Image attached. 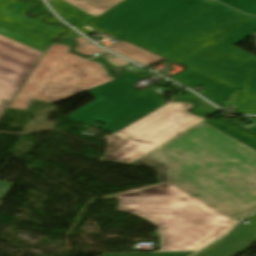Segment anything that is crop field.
Masks as SVG:
<instances>
[{
  "instance_id": "22f410ed",
  "label": "crop field",
  "mask_w": 256,
  "mask_h": 256,
  "mask_svg": "<svg viewBox=\"0 0 256 256\" xmlns=\"http://www.w3.org/2000/svg\"><path fill=\"white\" fill-rule=\"evenodd\" d=\"M74 40L76 41L77 45L75 47V51L90 55V56H94L92 54L100 52L102 54L107 53L97 47H95L93 44L90 45L89 41H87L85 38L83 37H79V38H74ZM82 43H84L86 46L81 45Z\"/></svg>"
},
{
  "instance_id": "ac0d7876",
  "label": "crop field",
  "mask_w": 256,
  "mask_h": 256,
  "mask_svg": "<svg viewBox=\"0 0 256 256\" xmlns=\"http://www.w3.org/2000/svg\"><path fill=\"white\" fill-rule=\"evenodd\" d=\"M132 163L233 222L256 211V151L204 121Z\"/></svg>"
},
{
  "instance_id": "4a817a6b",
  "label": "crop field",
  "mask_w": 256,
  "mask_h": 256,
  "mask_svg": "<svg viewBox=\"0 0 256 256\" xmlns=\"http://www.w3.org/2000/svg\"><path fill=\"white\" fill-rule=\"evenodd\" d=\"M13 184L0 181V199H5Z\"/></svg>"
},
{
  "instance_id": "34b2d1b8",
  "label": "crop field",
  "mask_w": 256,
  "mask_h": 256,
  "mask_svg": "<svg viewBox=\"0 0 256 256\" xmlns=\"http://www.w3.org/2000/svg\"><path fill=\"white\" fill-rule=\"evenodd\" d=\"M168 189L169 196L118 197L117 206L160 226L163 251L197 250L235 224L172 185Z\"/></svg>"
},
{
  "instance_id": "214f88e0",
  "label": "crop field",
  "mask_w": 256,
  "mask_h": 256,
  "mask_svg": "<svg viewBox=\"0 0 256 256\" xmlns=\"http://www.w3.org/2000/svg\"><path fill=\"white\" fill-rule=\"evenodd\" d=\"M226 236H227V235H226ZM226 236H224V237H222L221 239L217 240L216 242H214V243L211 244L210 246L206 247L205 249H203L202 251H200L199 253H197V254L194 255V256H200V255H202V254H204V253H206V252L212 250V249L215 248L217 245H219V244L222 242V240H223Z\"/></svg>"
},
{
  "instance_id": "d1516ede",
  "label": "crop field",
  "mask_w": 256,
  "mask_h": 256,
  "mask_svg": "<svg viewBox=\"0 0 256 256\" xmlns=\"http://www.w3.org/2000/svg\"><path fill=\"white\" fill-rule=\"evenodd\" d=\"M64 1L95 17H98L99 15L108 11L89 0H79L77 2L73 0H64Z\"/></svg>"
},
{
  "instance_id": "00972430",
  "label": "crop field",
  "mask_w": 256,
  "mask_h": 256,
  "mask_svg": "<svg viewBox=\"0 0 256 256\" xmlns=\"http://www.w3.org/2000/svg\"><path fill=\"white\" fill-rule=\"evenodd\" d=\"M75 1H77V0H75Z\"/></svg>"
},
{
  "instance_id": "d9b57169",
  "label": "crop field",
  "mask_w": 256,
  "mask_h": 256,
  "mask_svg": "<svg viewBox=\"0 0 256 256\" xmlns=\"http://www.w3.org/2000/svg\"><path fill=\"white\" fill-rule=\"evenodd\" d=\"M38 1L41 2V6L32 9V10L29 12V15L34 14V13H38V12H42V11L50 12V11L46 8V6L43 4V2H42L41 0H38ZM50 13L52 14V16L49 17V18H47L46 21H48V22H58V23H60V24H63L61 21H59V20L56 18V16H55L52 12H50ZM63 25H65V24H63ZM65 26H67V25H65ZM67 27H68V26H67ZM68 28H69V27H68ZM72 32H74V31H72L71 28H69L68 33L65 34V35H63V36L60 37V38H64L65 36H67L68 34H70V33H72Z\"/></svg>"
},
{
  "instance_id": "92a150f3",
  "label": "crop field",
  "mask_w": 256,
  "mask_h": 256,
  "mask_svg": "<svg viewBox=\"0 0 256 256\" xmlns=\"http://www.w3.org/2000/svg\"><path fill=\"white\" fill-rule=\"evenodd\" d=\"M68 36H70V37H76V36H79L77 33H72V34H70V35H68Z\"/></svg>"
},
{
  "instance_id": "bc2a9ffb",
  "label": "crop field",
  "mask_w": 256,
  "mask_h": 256,
  "mask_svg": "<svg viewBox=\"0 0 256 256\" xmlns=\"http://www.w3.org/2000/svg\"><path fill=\"white\" fill-rule=\"evenodd\" d=\"M106 61L113 65L114 67H120V66H123V65H126V64H129L128 62L114 56V57H111L109 59H106Z\"/></svg>"
},
{
  "instance_id": "28ad6ade",
  "label": "crop field",
  "mask_w": 256,
  "mask_h": 256,
  "mask_svg": "<svg viewBox=\"0 0 256 256\" xmlns=\"http://www.w3.org/2000/svg\"><path fill=\"white\" fill-rule=\"evenodd\" d=\"M143 195H168L167 183L118 194V196H143Z\"/></svg>"
},
{
  "instance_id": "733c2abd",
  "label": "crop field",
  "mask_w": 256,
  "mask_h": 256,
  "mask_svg": "<svg viewBox=\"0 0 256 256\" xmlns=\"http://www.w3.org/2000/svg\"><path fill=\"white\" fill-rule=\"evenodd\" d=\"M91 1H93V2L97 3L98 5L109 10L114 5L118 4L119 2H121L123 0H91Z\"/></svg>"
},
{
  "instance_id": "412701ff",
  "label": "crop field",
  "mask_w": 256,
  "mask_h": 256,
  "mask_svg": "<svg viewBox=\"0 0 256 256\" xmlns=\"http://www.w3.org/2000/svg\"><path fill=\"white\" fill-rule=\"evenodd\" d=\"M70 40L51 44L8 108L26 110L32 99L55 103L119 77L104 62L70 52Z\"/></svg>"
},
{
  "instance_id": "e52e79f7",
  "label": "crop field",
  "mask_w": 256,
  "mask_h": 256,
  "mask_svg": "<svg viewBox=\"0 0 256 256\" xmlns=\"http://www.w3.org/2000/svg\"><path fill=\"white\" fill-rule=\"evenodd\" d=\"M36 2L0 0V34L45 52L54 36L66 29L53 24H45L41 19L48 14L26 18L23 13Z\"/></svg>"
},
{
  "instance_id": "f4fd0767",
  "label": "crop field",
  "mask_w": 256,
  "mask_h": 256,
  "mask_svg": "<svg viewBox=\"0 0 256 256\" xmlns=\"http://www.w3.org/2000/svg\"><path fill=\"white\" fill-rule=\"evenodd\" d=\"M195 103L178 100L108 137L104 159L130 163L206 119L188 112Z\"/></svg>"
},
{
  "instance_id": "dd49c442",
  "label": "crop field",
  "mask_w": 256,
  "mask_h": 256,
  "mask_svg": "<svg viewBox=\"0 0 256 256\" xmlns=\"http://www.w3.org/2000/svg\"><path fill=\"white\" fill-rule=\"evenodd\" d=\"M145 75L131 73L107 84L89 90L95 100L69 114L76 123L98 121L119 130L163 105L162 96L148 88L136 91L134 80Z\"/></svg>"
},
{
  "instance_id": "3316defc",
  "label": "crop field",
  "mask_w": 256,
  "mask_h": 256,
  "mask_svg": "<svg viewBox=\"0 0 256 256\" xmlns=\"http://www.w3.org/2000/svg\"><path fill=\"white\" fill-rule=\"evenodd\" d=\"M127 58L137 61L138 63L148 67L154 63H157L165 58L153 55L140 48L130 45L124 41L113 43L105 46ZM166 60V59H165ZM164 61V60H163Z\"/></svg>"
},
{
  "instance_id": "5a996713",
  "label": "crop field",
  "mask_w": 256,
  "mask_h": 256,
  "mask_svg": "<svg viewBox=\"0 0 256 256\" xmlns=\"http://www.w3.org/2000/svg\"><path fill=\"white\" fill-rule=\"evenodd\" d=\"M249 219V224H239L220 248L206 256H234L248 249L252 241H256V214Z\"/></svg>"
},
{
  "instance_id": "cbeb9de0",
  "label": "crop field",
  "mask_w": 256,
  "mask_h": 256,
  "mask_svg": "<svg viewBox=\"0 0 256 256\" xmlns=\"http://www.w3.org/2000/svg\"><path fill=\"white\" fill-rule=\"evenodd\" d=\"M180 98H191L197 100L200 104L195 108V112H208L210 115L215 114L216 112L220 111L208 104H206L204 101H202L199 97H197L195 94L192 92L188 91L185 93L183 96Z\"/></svg>"
},
{
  "instance_id": "dafd665d",
  "label": "crop field",
  "mask_w": 256,
  "mask_h": 256,
  "mask_svg": "<svg viewBox=\"0 0 256 256\" xmlns=\"http://www.w3.org/2000/svg\"><path fill=\"white\" fill-rule=\"evenodd\" d=\"M256 118V117H255ZM248 130H250V131H252V132H255L256 133V126L255 127H253V128H250V129H248Z\"/></svg>"
},
{
  "instance_id": "5142ce71",
  "label": "crop field",
  "mask_w": 256,
  "mask_h": 256,
  "mask_svg": "<svg viewBox=\"0 0 256 256\" xmlns=\"http://www.w3.org/2000/svg\"><path fill=\"white\" fill-rule=\"evenodd\" d=\"M193 252L103 254L102 256H188Z\"/></svg>"
},
{
  "instance_id": "d8731c3e",
  "label": "crop field",
  "mask_w": 256,
  "mask_h": 256,
  "mask_svg": "<svg viewBox=\"0 0 256 256\" xmlns=\"http://www.w3.org/2000/svg\"><path fill=\"white\" fill-rule=\"evenodd\" d=\"M42 52L0 35V116Z\"/></svg>"
},
{
  "instance_id": "8a807250",
  "label": "crop field",
  "mask_w": 256,
  "mask_h": 256,
  "mask_svg": "<svg viewBox=\"0 0 256 256\" xmlns=\"http://www.w3.org/2000/svg\"><path fill=\"white\" fill-rule=\"evenodd\" d=\"M256 16V0H218ZM213 0H125L88 25L188 69L170 77L219 105L241 90L236 112L256 114V57L234 44L256 17Z\"/></svg>"
}]
</instances>
